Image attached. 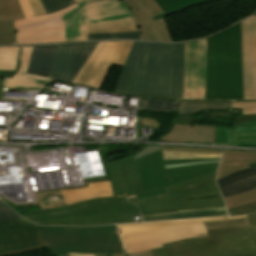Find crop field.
I'll use <instances>...</instances> for the list:
<instances>
[{
  "label": "crop field",
  "instance_id": "obj_24",
  "mask_svg": "<svg viewBox=\"0 0 256 256\" xmlns=\"http://www.w3.org/2000/svg\"><path fill=\"white\" fill-rule=\"evenodd\" d=\"M88 34L138 31L133 18L87 25Z\"/></svg>",
  "mask_w": 256,
  "mask_h": 256
},
{
  "label": "crop field",
  "instance_id": "obj_42",
  "mask_svg": "<svg viewBox=\"0 0 256 256\" xmlns=\"http://www.w3.org/2000/svg\"><path fill=\"white\" fill-rule=\"evenodd\" d=\"M27 1L30 5L31 11L34 17L46 14L39 0H27Z\"/></svg>",
  "mask_w": 256,
  "mask_h": 256
},
{
  "label": "crop field",
  "instance_id": "obj_6",
  "mask_svg": "<svg viewBox=\"0 0 256 256\" xmlns=\"http://www.w3.org/2000/svg\"><path fill=\"white\" fill-rule=\"evenodd\" d=\"M242 217L246 216L125 224L118 227L125 253H133L161 247V244L181 239L208 236L201 221Z\"/></svg>",
  "mask_w": 256,
  "mask_h": 256
},
{
  "label": "crop field",
  "instance_id": "obj_32",
  "mask_svg": "<svg viewBox=\"0 0 256 256\" xmlns=\"http://www.w3.org/2000/svg\"><path fill=\"white\" fill-rule=\"evenodd\" d=\"M226 204V208H232L239 205H243L256 200V189L240 193L234 196L223 198Z\"/></svg>",
  "mask_w": 256,
  "mask_h": 256
},
{
  "label": "crop field",
  "instance_id": "obj_18",
  "mask_svg": "<svg viewBox=\"0 0 256 256\" xmlns=\"http://www.w3.org/2000/svg\"><path fill=\"white\" fill-rule=\"evenodd\" d=\"M222 196H230L256 188V167L230 174L217 181Z\"/></svg>",
  "mask_w": 256,
  "mask_h": 256
},
{
  "label": "crop field",
  "instance_id": "obj_45",
  "mask_svg": "<svg viewBox=\"0 0 256 256\" xmlns=\"http://www.w3.org/2000/svg\"><path fill=\"white\" fill-rule=\"evenodd\" d=\"M249 120H256V114L253 115H236L235 123L232 128H235L239 123L249 121Z\"/></svg>",
  "mask_w": 256,
  "mask_h": 256
},
{
  "label": "crop field",
  "instance_id": "obj_53",
  "mask_svg": "<svg viewBox=\"0 0 256 256\" xmlns=\"http://www.w3.org/2000/svg\"><path fill=\"white\" fill-rule=\"evenodd\" d=\"M93 256H112V254H99V255H93Z\"/></svg>",
  "mask_w": 256,
  "mask_h": 256
},
{
  "label": "crop field",
  "instance_id": "obj_11",
  "mask_svg": "<svg viewBox=\"0 0 256 256\" xmlns=\"http://www.w3.org/2000/svg\"><path fill=\"white\" fill-rule=\"evenodd\" d=\"M132 42H99L73 83L99 89L111 64L123 65Z\"/></svg>",
  "mask_w": 256,
  "mask_h": 256
},
{
  "label": "crop field",
  "instance_id": "obj_38",
  "mask_svg": "<svg viewBox=\"0 0 256 256\" xmlns=\"http://www.w3.org/2000/svg\"><path fill=\"white\" fill-rule=\"evenodd\" d=\"M41 2L47 14L56 12L75 3L74 0H41Z\"/></svg>",
  "mask_w": 256,
  "mask_h": 256
},
{
  "label": "crop field",
  "instance_id": "obj_15",
  "mask_svg": "<svg viewBox=\"0 0 256 256\" xmlns=\"http://www.w3.org/2000/svg\"><path fill=\"white\" fill-rule=\"evenodd\" d=\"M134 12L143 40L172 42L163 19L153 21L152 16L162 14L154 0H123Z\"/></svg>",
  "mask_w": 256,
  "mask_h": 256
},
{
  "label": "crop field",
  "instance_id": "obj_55",
  "mask_svg": "<svg viewBox=\"0 0 256 256\" xmlns=\"http://www.w3.org/2000/svg\"><path fill=\"white\" fill-rule=\"evenodd\" d=\"M113 256H123V254H114Z\"/></svg>",
  "mask_w": 256,
  "mask_h": 256
},
{
  "label": "crop field",
  "instance_id": "obj_43",
  "mask_svg": "<svg viewBox=\"0 0 256 256\" xmlns=\"http://www.w3.org/2000/svg\"><path fill=\"white\" fill-rule=\"evenodd\" d=\"M21 47L19 48V53H18V59H17V65L15 71H0V78H12L13 75L16 73L20 66V55H21Z\"/></svg>",
  "mask_w": 256,
  "mask_h": 256
},
{
  "label": "crop field",
  "instance_id": "obj_58",
  "mask_svg": "<svg viewBox=\"0 0 256 256\" xmlns=\"http://www.w3.org/2000/svg\"><path fill=\"white\" fill-rule=\"evenodd\" d=\"M77 1H79V0H75V2H77Z\"/></svg>",
  "mask_w": 256,
  "mask_h": 256
},
{
  "label": "crop field",
  "instance_id": "obj_14",
  "mask_svg": "<svg viewBox=\"0 0 256 256\" xmlns=\"http://www.w3.org/2000/svg\"><path fill=\"white\" fill-rule=\"evenodd\" d=\"M97 44L59 45L48 77L72 83Z\"/></svg>",
  "mask_w": 256,
  "mask_h": 256
},
{
  "label": "crop field",
  "instance_id": "obj_26",
  "mask_svg": "<svg viewBox=\"0 0 256 256\" xmlns=\"http://www.w3.org/2000/svg\"><path fill=\"white\" fill-rule=\"evenodd\" d=\"M235 136L236 145L256 146V121L239 124Z\"/></svg>",
  "mask_w": 256,
  "mask_h": 256
},
{
  "label": "crop field",
  "instance_id": "obj_51",
  "mask_svg": "<svg viewBox=\"0 0 256 256\" xmlns=\"http://www.w3.org/2000/svg\"><path fill=\"white\" fill-rule=\"evenodd\" d=\"M164 196L165 195H167V192L166 193H164L163 194ZM163 197V196H162ZM157 197L156 196H154V197H150V198H146V199H142V200H133V201H131V202H133V203H140V202H144V201H147V200H151V199H156ZM158 198H161V197H158Z\"/></svg>",
  "mask_w": 256,
  "mask_h": 256
},
{
  "label": "crop field",
  "instance_id": "obj_31",
  "mask_svg": "<svg viewBox=\"0 0 256 256\" xmlns=\"http://www.w3.org/2000/svg\"><path fill=\"white\" fill-rule=\"evenodd\" d=\"M163 156L164 160H173L220 157V154L163 150Z\"/></svg>",
  "mask_w": 256,
  "mask_h": 256
},
{
  "label": "crop field",
  "instance_id": "obj_4",
  "mask_svg": "<svg viewBox=\"0 0 256 256\" xmlns=\"http://www.w3.org/2000/svg\"><path fill=\"white\" fill-rule=\"evenodd\" d=\"M242 227L207 231L209 237L191 238L152 250L153 256H256V214Z\"/></svg>",
  "mask_w": 256,
  "mask_h": 256
},
{
  "label": "crop field",
  "instance_id": "obj_27",
  "mask_svg": "<svg viewBox=\"0 0 256 256\" xmlns=\"http://www.w3.org/2000/svg\"><path fill=\"white\" fill-rule=\"evenodd\" d=\"M179 100L156 99L140 97L139 109L141 110H156V111H178Z\"/></svg>",
  "mask_w": 256,
  "mask_h": 256
},
{
  "label": "crop field",
  "instance_id": "obj_37",
  "mask_svg": "<svg viewBox=\"0 0 256 256\" xmlns=\"http://www.w3.org/2000/svg\"><path fill=\"white\" fill-rule=\"evenodd\" d=\"M248 167L247 161L221 164L217 174V179Z\"/></svg>",
  "mask_w": 256,
  "mask_h": 256
},
{
  "label": "crop field",
  "instance_id": "obj_10",
  "mask_svg": "<svg viewBox=\"0 0 256 256\" xmlns=\"http://www.w3.org/2000/svg\"><path fill=\"white\" fill-rule=\"evenodd\" d=\"M23 20L14 21L17 44L63 43L61 16L78 5L75 3L57 13L33 18L26 0H19Z\"/></svg>",
  "mask_w": 256,
  "mask_h": 256
},
{
  "label": "crop field",
  "instance_id": "obj_50",
  "mask_svg": "<svg viewBox=\"0 0 256 256\" xmlns=\"http://www.w3.org/2000/svg\"><path fill=\"white\" fill-rule=\"evenodd\" d=\"M210 162H216V161H210ZM201 163H208V162L185 163V164H177V165H168V166H164V167H165V168H168V167H177V166L201 164Z\"/></svg>",
  "mask_w": 256,
  "mask_h": 256
},
{
  "label": "crop field",
  "instance_id": "obj_22",
  "mask_svg": "<svg viewBox=\"0 0 256 256\" xmlns=\"http://www.w3.org/2000/svg\"><path fill=\"white\" fill-rule=\"evenodd\" d=\"M228 215L225 207L211 208L196 211H172L156 214L142 215L144 221L175 219V218H192V217H210Z\"/></svg>",
  "mask_w": 256,
  "mask_h": 256
},
{
  "label": "crop field",
  "instance_id": "obj_40",
  "mask_svg": "<svg viewBox=\"0 0 256 256\" xmlns=\"http://www.w3.org/2000/svg\"><path fill=\"white\" fill-rule=\"evenodd\" d=\"M229 215H241V214H249V213H255L256 212V201L239 206L233 209L227 210Z\"/></svg>",
  "mask_w": 256,
  "mask_h": 256
},
{
  "label": "crop field",
  "instance_id": "obj_46",
  "mask_svg": "<svg viewBox=\"0 0 256 256\" xmlns=\"http://www.w3.org/2000/svg\"><path fill=\"white\" fill-rule=\"evenodd\" d=\"M162 149L220 153V150H212V149L174 148V147H163V146H162Z\"/></svg>",
  "mask_w": 256,
  "mask_h": 256
},
{
  "label": "crop field",
  "instance_id": "obj_16",
  "mask_svg": "<svg viewBox=\"0 0 256 256\" xmlns=\"http://www.w3.org/2000/svg\"><path fill=\"white\" fill-rule=\"evenodd\" d=\"M244 99H256V16L242 21Z\"/></svg>",
  "mask_w": 256,
  "mask_h": 256
},
{
  "label": "crop field",
  "instance_id": "obj_7",
  "mask_svg": "<svg viewBox=\"0 0 256 256\" xmlns=\"http://www.w3.org/2000/svg\"><path fill=\"white\" fill-rule=\"evenodd\" d=\"M219 159L220 158L163 161L162 150L135 159L143 194L126 197L128 200H133L161 194L165 192L164 188L167 186L217 170L219 162L169 169H164L163 165Z\"/></svg>",
  "mask_w": 256,
  "mask_h": 256
},
{
  "label": "crop field",
  "instance_id": "obj_23",
  "mask_svg": "<svg viewBox=\"0 0 256 256\" xmlns=\"http://www.w3.org/2000/svg\"><path fill=\"white\" fill-rule=\"evenodd\" d=\"M232 101H188L180 100L179 115H188L203 110L230 109Z\"/></svg>",
  "mask_w": 256,
  "mask_h": 256
},
{
  "label": "crop field",
  "instance_id": "obj_2",
  "mask_svg": "<svg viewBox=\"0 0 256 256\" xmlns=\"http://www.w3.org/2000/svg\"><path fill=\"white\" fill-rule=\"evenodd\" d=\"M183 54L184 43L133 42L114 92L182 99Z\"/></svg>",
  "mask_w": 256,
  "mask_h": 256
},
{
  "label": "crop field",
  "instance_id": "obj_48",
  "mask_svg": "<svg viewBox=\"0 0 256 256\" xmlns=\"http://www.w3.org/2000/svg\"><path fill=\"white\" fill-rule=\"evenodd\" d=\"M141 124L149 125V126H152V127H155V128L158 127V123L156 121H154L152 119H148V118L142 119Z\"/></svg>",
  "mask_w": 256,
  "mask_h": 256
},
{
  "label": "crop field",
  "instance_id": "obj_39",
  "mask_svg": "<svg viewBox=\"0 0 256 256\" xmlns=\"http://www.w3.org/2000/svg\"><path fill=\"white\" fill-rule=\"evenodd\" d=\"M232 108L242 109V114L256 113V101H234Z\"/></svg>",
  "mask_w": 256,
  "mask_h": 256
},
{
  "label": "crop field",
  "instance_id": "obj_47",
  "mask_svg": "<svg viewBox=\"0 0 256 256\" xmlns=\"http://www.w3.org/2000/svg\"><path fill=\"white\" fill-rule=\"evenodd\" d=\"M160 149H161V146H149V147H146L145 149H143V150H141V151L135 153L134 159H135V158H138V157H140V156L149 154V153H151V152L160 150Z\"/></svg>",
  "mask_w": 256,
  "mask_h": 256
},
{
  "label": "crop field",
  "instance_id": "obj_9",
  "mask_svg": "<svg viewBox=\"0 0 256 256\" xmlns=\"http://www.w3.org/2000/svg\"><path fill=\"white\" fill-rule=\"evenodd\" d=\"M80 6L62 17L64 43L87 41L86 24L130 18L131 10L119 0H81Z\"/></svg>",
  "mask_w": 256,
  "mask_h": 256
},
{
  "label": "crop field",
  "instance_id": "obj_35",
  "mask_svg": "<svg viewBox=\"0 0 256 256\" xmlns=\"http://www.w3.org/2000/svg\"><path fill=\"white\" fill-rule=\"evenodd\" d=\"M246 223H247L246 218L203 222L207 230L226 228V227H232V226H238V225H246Z\"/></svg>",
  "mask_w": 256,
  "mask_h": 256
},
{
  "label": "crop field",
  "instance_id": "obj_44",
  "mask_svg": "<svg viewBox=\"0 0 256 256\" xmlns=\"http://www.w3.org/2000/svg\"><path fill=\"white\" fill-rule=\"evenodd\" d=\"M194 118L193 115L189 116H177L173 120V124H192Z\"/></svg>",
  "mask_w": 256,
  "mask_h": 256
},
{
  "label": "crop field",
  "instance_id": "obj_34",
  "mask_svg": "<svg viewBox=\"0 0 256 256\" xmlns=\"http://www.w3.org/2000/svg\"><path fill=\"white\" fill-rule=\"evenodd\" d=\"M120 38L141 40L139 32L88 35V41L110 40V39H120Z\"/></svg>",
  "mask_w": 256,
  "mask_h": 256
},
{
  "label": "crop field",
  "instance_id": "obj_29",
  "mask_svg": "<svg viewBox=\"0 0 256 256\" xmlns=\"http://www.w3.org/2000/svg\"><path fill=\"white\" fill-rule=\"evenodd\" d=\"M19 46L0 47V70H14Z\"/></svg>",
  "mask_w": 256,
  "mask_h": 256
},
{
  "label": "crop field",
  "instance_id": "obj_52",
  "mask_svg": "<svg viewBox=\"0 0 256 256\" xmlns=\"http://www.w3.org/2000/svg\"><path fill=\"white\" fill-rule=\"evenodd\" d=\"M70 256H92V255L70 254Z\"/></svg>",
  "mask_w": 256,
  "mask_h": 256
},
{
  "label": "crop field",
  "instance_id": "obj_30",
  "mask_svg": "<svg viewBox=\"0 0 256 256\" xmlns=\"http://www.w3.org/2000/svg\"><path fill=\"white\" fill-rule=\"evenodd\" d=\"M248 160L256 163V152L223 149L221 163Z\"/></svg>",
  "mask_w": 256,
  "mask_h": 256
},
{
  "label": "crop field",
  "instance_id": "obj_56",
  "mask_svg": "<svg viewBox=\"0 0 256 256\" xmlns=\"http://www.w3.org/2000/svg\"><path fill=\"white\" fill-rule=\"evenodd\" d=\"M60 256H69V254H65V255H60Z\"/></svg>",
  "mask_w": 256,
  "mask_h": 256
},
{
  "label": "crop field",
  "instance_id": "obj_21",
  "mask_svg": "<svg viewBox=\"0 0 256 256\" xmlns=\"http://www.w3.org/2000/svg\"><path fill=\"white\" fill-rule=\"evenodd\" d=\"M57 46H34L27 73L47 77Z\"/></svg>",
  "mask_w": 256,
  "mask_h": 256
},
{
  "label": "crop field",
  "instance_id": "obj_57",
  "mask_svg": "<svg viewBox=\"0 0 256 256\" xmlns=\"http://www.w3.org/2000/svg\"><path fill=\"white\" fill-rule=\"evenodd\" d=\"M256 166V164L250 165V167Z\"/></svg>",
  "mask_w": 256,
  "mask_h": 256
},
{
  "label": "crop field",
  "instance_id": "obj_1",
  "mask_svg": "<svg viewBox=\"0 0 256 256\" xmlns=\"http://www.w3.org/2000/svg\"><path fill=\"white\" fill-rule=\"evenodd\" d=\"M105 164L109 171L114 197L40 210L22 217L38 224L50 225H102L132 222L131 216L140 214L137 206L126 201L125 195L142 193L133 156Z\"/></svg>",
  "mask_w": 256,
  "mask_h": 256
},
{
  "label": "crop field",
  "instance_id": "obj_12",
  "mask_svg": "<svg viewBox=\"0 0 256 256\" xmlns=\"http://www.w3.org/2000/svg\"><path fill=\"white\" fill-rule=\"evenodd\" d=\"M45 248L38 225L22 218L0 222V256H11L19 253Z\"/></svg>",
  "mask_w": 256,
  "mask_h": 256
},
{
  "label": "crop field",
  "instance_id": "obj_28",
  "mask_svg": "<svg viewBox=\"0 0 256 256\" xmlns=\"http://www.w3.org/2000/svg\"><path fill=\"white\" fill-rule=\"evenodd\" d=\"M23 18L18 0H0V22Z\"/></svg>",
  "mask_w": 256,
  "mask_h": 256
},
{
  "label": "crop field",
  "instance_id": "obj_20",
  "mask_svg": "<svg viewBox=\"0 0 256 256\" xmlns=\"http://www.w3.org/2000/svg\"><path fill=\"white\" fill-rule=\"evenodd\" d=\"M62 192L68 205L93 198L113 196L110 181L89 183L86 188Z\"/></svg>",
  "mask_w": 256,
  "mask_h": 256
},
{
  "label": "crop field",
  "instance_id": "obj_33",
  "mask_svg": "<svg viewBox=\"0 0 256 256\" xmlns=\"http://www.w3.org/2000/svg\"><path fill=\"white\" fill-rule=\"evenodd\" d=\"M16 44L13 22L0 23V45Z\"/></svg>",
  "mask_w": 256,
  "mask_h": 256
},
{
  "label": "crop field",
  "instance_id": "obj_54",
  "mask_svg": "<svg viewBox=\"0 0 256 256\" xmlns=\"http://www.w3.org/2000/svg\"><path fill=\"white\" fill-rule=\"evenodd\" d=\"M1 83H2V79H0V99H1Z\"/></svg>",
  "mask_w": 256,
  "mask_h": 256
},
{
  "label": "crop field",
  "instance_id": "obj_5",
  "mask_svg": "<svg viewBox=\"0 0 256 256\" xmlns=\"http://www.w3.org/2000/svg\"><path fill=\"white\" fill-rule=\"evenodd\" d=\"M45 246L54 255L123 253L116 225L101 227L39 226Z\"/></svg>",
  "mask_w": 256,
  "mask_h": 256
},
{
  "label": "crop field",
  "instance_id": "obj_49",
  "mask_svg": "<svg viewBox=\"0 0 256 256\" xmlns=\"http://www.w3.org/2000/svg\"><path fill=\"white\" fill-rule=\"evenodd\" d=\"M125 256H152L151 250L141 253H134V254H125Z\"/></svg>",
  "mask_w": 256,
  "mask_h": 256
},
{
  "label": "crop field",
  "instance_id": "obj_8",
  "mask_svg": "<svg viewBox=\"0 0 256 256\" xmlns=\"http://www.w3.org/2000/svg\"><path fill=\"white\" fill-rule=\"evenodd\" d=\"M215 174L216 171L170 186L166 188L169 195L137 205L142 214L224 206Z\"/></svg>",
  "mask_w": 256,
  "mask_h": 256
},
{
  "label": "crop field",
  "instance_id": "obj_17",
  "mask_svg": "<svg viewBox=\"0 0 256 256\" xmlns=\"http://www.w3.org/2000/svg\"><path fill=\"white\" fill-rule=\"evenodd\" d=\"M215 128L195 124L174 125L169 133L160 138V141L214 144Z\"/></svg>",
  "mask_w": 256,
  "mask_h": 256
},
{
  "label": "crop field",
  "instance_id": "obj_13",
  "mask_svg": "<svg viewBox=\"0 0 256 256\" xmlns=\"http://www.w3.org/2000/svg\"><path fill=\"white\" fill-rule=\"evenodd\" d=\"M206 38L185 43L183 99H204Z\"/></svg>",
  "mask_w": 256,
  "mask_h": 256
},
{
  "label": "crop field",
  "instance_id": "obj_19",
  "mask_svg": "<svg viewBox=\"0 0 256 256\" xmlns=\"http://www.w3.org/2000/svg\"><path fill=\"white\" fill-rule=\"evenodd\" d=\"M32 50L33 46H23L20 69L12 79H3L2 88L17 86L43 88L47 83L52 81L51 78L26 74Z\"/></svg>",
  "mask_w": 256,
  "mask_h": 256
},
{
  "label": "crop field",
  "instance_id": "obj_3",
  "mask_svg": "<svg viewBox=\"0 0 256 256\" xmlns=\"http://www.w3.org/2000/svg\"><path fill=\"white\" fill-rule=\"evenodd\" d=\"M205 99H243L241 22L207 37Z\"/></svg>",
  "mask_w": 256,
  "mask_h": 256
},
{
  "label": "crop field",
  "instance_id": "obj_36",
  "mask_svg": "<svg viewBox=\"0 0 256 256\" xmlns=\"http://www.w3.org/2000/svg\"><path fill=\"white\" fill-rule=\"evenodd\" d=\"M215 144L234 145L233 129L217 127L215 132Z\"/></svg>",
  "mask_w": 256,
  "mask_h": 256
},
{
  "label": "crop field",
  "instance_id": "obj_25",
  "mask_svg": "<svg viewBox=\"0 0 256 256\" xmlns=\"http://www.w3.org/2000/svg\"><path fill=\"white\" fill-rule=\"evenodd\" d=\"M165 14L153 17L154 20L163 18L165 15L177 13L190 6L202 4L214 0H155ZM165 6V7H163Z\"/></svg>",
  "mask_w": 256,
  "mask_h": 256
},
{
  "label": "crop field",
  "instance_id": "obj_41",
  "mask_svg": "<svg viewBox=\"0 0 256 256\" xmlns=\"http://www.w3.org/2000/svg\"><path fill=\"white\" fill-rule=\"evenodd\" d=\"M19 217L13 210L0 201V221Z\"/></svg>",
  "mask_w": 256,
  "mask_h": 256
}]
</instances>
